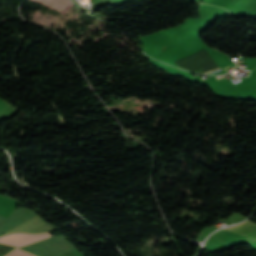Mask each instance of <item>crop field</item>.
<instances>
[{
  "label": "crop field",
  "instance_id": "crop-field-1",
  "mask_svg": "<svg viewBox=\"0 0 256 256\" xmlns=\"http://www.w3.org/2000/svg\"><path fill=\"white\" fill-rule=\"evenodd\" d=\"M5 256H34V255L16 248Z\"/></svg>",
  "mask_w": 256,
  "mask_h": 256
},
{
  "label": "crop field",
  "instance_id": "crop-field-2",
  "mask_svg": "<svg viewBox=\"0 0 256 256\" xmlns=\"http://www.w3.org/2000/svg\"><path fill=\"white\" fill-rule=\"evenodd\" d=\"M220 67H217V68H215V69H212V70H210V71H208V72H205V74H207V73H209V72H212V71H214V70H217V69H219Z\"/></svg>",
  "mask_w": 256,
  "mask_h": 256
}]
</instances>
